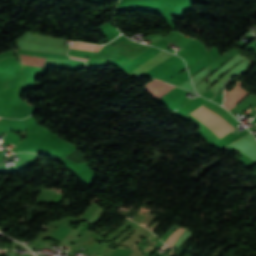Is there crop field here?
<instances>
[{"label":"crop field","mask_w":256,"mask_h":256,"mask_svg":"<svg viewBox=\"0 0 256 256\" xmlns=\"http://www.w3.org/2000/svg\"><path fill=\"white\" fill-rule=\"evenodd\" d=\"M1 155V154H0Z\"/></svg>","instance_id":"d8731c3e"},{"label":"crop field","mask_w":256,"mask_h":256,"mask_svg":"<svg viewBox=\"0 0 256 256\" xmlns=\"http://www.w3.org/2000/svg\"><path fill=\"white\" fill-rule=\"evenodd\" d=\"M247 94L248 93L240 87V82H237V85L233 90H231L230 92H227L225 90L224 107L228 110L231 109Z\"/></svg>","instance_id":"ac0d7876"},{"label":"crop field","mask_w":256,"mask_h":256,"mask_svg":"<svg viewBox=\"0 0 256 256\" xmlns=\"http://www.w3.org/2000/svg\"><path fill=\"white\" fill-rule=\"evenodd\" d=\"M201 114H203L206 118H208L210 121H212L216 126H218L222 131H224L226 134L229 133L234 128L226 122L223 118H221L218 114L214 113L213 111L201 106L197 109ZM194 110L192 113L193 116L198 118L201 122H203L207 127H209L211 130H213L220 138L226 135L224 132H222L218 127H216L212 122H210L208 119H206L203 115H201L199 112Z\"/></svg>","instance_id":"8a807250"},{"label":"crop field","mask_w":256,"mask_h":256,"mask_svg":"<svg viewBox=\"0 0 256 256\" xmlns=\"http://www.w3.org/2000/svg\"><path fill=\"white\" fill-rule=\"evenodd\" d=\"M11 145H13V146H15V147H16V145H14V144H11Z\"/></svg>","instance_id":"e52e79f7"},{"label":"crop field","mask_w":256,"mask_h":256,"mask_svg":"<svg viewBox=\"0 0 256 256\" xmlns=\"http://www.w3.org/2000/svg\"><path fill=\"white\" fill-rule=\"evenodd\" d=\"M70 58H75V59L85 60V61H87V60H88V59H86V58H79V57H72V56H70Z\"/></svg>","instance_id":"dd49c442"},{"label":"crop field","mask_w":256,"mask_h":256,"mask_svg":"<svg viewBox=\"0 0 256 256\" xmlns=\"http://www.w3.org/2000/svg\"><path fill=\"white\" fill-rule=\"evenodd\" d=\"M155 81H157V79H155V80H153V81H151V82H149L147 85H145V90L152 96V97H154V98H156V99H158V98H160L163 94H165L167 91H169V90H171L172 88H174L175 86H172V85H170V84H167V83H165V82H163V81H161V80H159V81H157V82H155ZM155 82V83H154ZM152 83H154V84H152ZM150 84H152V85H150ZM154 89V90H156L157 92H155L150 86Z\"/></svg>","instance_id":"34b2d1b8"},{"label":"crop field","mask_w":256,"mask_h":256,"mask_svg":"<svg viewBox=\"0 0 256 256\" xmlns=\"http://www.w3.org/2000/svg\"><path fill=\"white\" fill-rule=\"evenodd\" d=\"M185 229V228H184ZM184 229H183V231H184ZM182 230V228H180V229H177L175 232H174V234L171 236V238L168 240V242L166 243V241H165V243L168 245V246H170V247H172V245H173V243L175 242V240L180 236V234L183 232H181L180 234H178L180 231Z\"/></svg>","instance_id":"f4fd0767"},{"label":"crop field","mask_w":256,"mask_h":256,"mask_svg":"<svg viewBox=\"0 0 256 256\" xmlns=\"http://www.w3.org/2000/svg\"><path fill=\"white\" fill-rule=\"evenodd\" d=\"M76 45H77V43L74 42V43H72L71 47L72 46L76 47ZM75 47H74V49H75ZM101 47L102 46H94V45H89V44H85V43H78L76 49H84V50H89V51L97 52Z\"/></svg>","instance_id":"412701ff"}]
</instances>
